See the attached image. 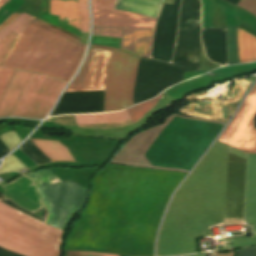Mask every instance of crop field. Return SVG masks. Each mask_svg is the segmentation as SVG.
Returning a JSON list of instances; mask_svg holds the SVG:
<instances>
[{
  "instance_id": "eef30255",
  "label": "crop field",
  "mask_w": 256,
  "mask_h": 256,
  "mask_svg": "<svg viewBox=\"0 0 256 256\" xmlns=\"http://www.w3.org/2000/svg\"><path fill=\"white\" fill-rule=\"evenodd\" d=\"M7 0H1L0 1V7H1V5L4 3V2H6Z\"/></svg>"
},
{
  "instance_id": "bc2a9ffb",
  "label": "crop field",
  "mask_w": 256,
  "mask_h": 256,
  "mask_svg": "<svg viewBox=\"0 0 256 256\" xmlns=\"http://www.w3.org/2000/svg\"><path fill=\"white\" fill-rule=\"evenodd\" d=\"M124 29L93 27L92 36L121 38Z\"/></svg>"
},
{
  "instance_id": "5a996713",
  "label": "crop field",
  "mask_w": 256,
  "mask_h": 256,
  "mask_svg": "<svg viewBox=\"0 0 256 256\" xmlns=\"http://www.w3.org/2000/svg\"><path fill=\"white\" fill-rule=\"evenodd\" d=\"M32 72L15 70L0 100V116H11Z\"/></svg>"
},
{
  "instance_id": "92a150f3",
  "label": "crop field",
  "mask_w": 256,
  "mask_h": 256,
  "mask_svg": "<svg viewBox=\"0 0 256 256\" xmlns=\"http://www.w3.org/2000/svg\"><path fill=\"white\" fill-rule=\"evenodd\" d=\"M203 5V24L202 28H211V1L201 0Z\"/></svg>"
},
{
  "instance_id": "d1516ede",
  "label": "crop field",
  "mask_w": 256,
  "mask_h": 256,
  "mask_svg": "<svg viewBox=\"0 0 256 256\" xmlns=\"http://www.w3.org/2000/svg\"><path fill=\"white\" fill-rule=\"evenodd\" d=\"M31 140L52 161H74L67 148L61 145L59 141Z\"/></svg>"
},
{
  "instance_id": "3316defc",
  "label": "crop field",
  "mask_w": 256,
  "mask_h": 256,
  "mask_svg": "<svg viewBox=\"0 0 256 256\" xmlns=\"http://www.w3.org/2000/svg\"><path fill=\"white\" fill-rule=\"evenodd\" d=\"M152 31L125 28L120 49L130 54L149 58Z\"/></svg>"
},
{
  "instance_id": "214f88e0",
  "label": "crop field",
  "mask_w": 256,
  "mask_h": 256,
  "mask_svg": "<svg viewBox=\"0 0 256 256\" xmlns=\"http://www.w3.org/2000/svg\"><path fill=\"white\" fill-rule=\"evenodd\" d=\"M25 167L26 166L23 163H21L15 156L11 155L5 158V161L0 168V172L16 170V169H21Z\"/></svg>"
},
{
  "instance_id": "ac0d7876",
  "label": "crop field",
  "mask_w": 256,
  "mask_h": 256,
  "mask_svg": "<svg viewBox=\"0 0 256 256\" xmlns=\"http://www.w3.org/2000/svg\"><path fill=\"white\" fill-rule=\"evenodd\" d=\"M81 31H89L87 0H78ZM0 41V67L21 69L68 81L85 47L80 41L33 20L21 34ZM0 68V96L14 70Z\"/></svg>"
},
{
  "instance_id": "733c2abd",
  "label": "crop field",
  "mask_w": 256,
  "mask_h": 256,
  "mask_svg": "<svg viewBox=\"0 0 256 256\" xmlns=\"http://www.w3.org/2000/svg\"><path fill=\"white\" fill-rule=\"evenodd\" d=\"M36 165L51 162L36 146L28 139L20 148Z\"/></svg>"
},
{
  "instance_id": "730fd06b",
  "label": "crop field",
  "mask_w": 256,
  "mask_h": 256,
  "mask_svg": "<svg viewBox=\"0 0 256 256\" xmlns=\"http://www.w3.org/2000/svg\"><path fill=\"white\" fill-rule=\"evenodd\" d=\"M20 14H12L8 19H6L1 25L0 30H2L6 25H8L11 21H13Z\"/></svg>"
},
{
  "instance_id": "4a817a6b",
  "label": "crop field",
  "mask_w": 256,
  "mask_h": 256,
  "mask_svg": "<svg viewBox=\"0 0 256 256\" xmlns=\"http://www.w3.org/2000/svg\"><path fill=\"white\" fill-rule=\"evenodd\" d=\"M162 94V93H161ZM160 94V95H161ZM157 96L156 98H154L153 100L151 101H147V102H144L142 104H139L135 107H132L130 109H128V113L131 117V120L132 122H136L137 120H139L148 110H150L154 104L157 102L158 98L160 97Z\"/></svg>"
},
{
  "instance_id": "5142ce71",
  "label": "crop field",
  "mask_w": 256,
  "mask_h": 256,
  "mask_svg": "<svg viewBox=\"0 0 256 256\" xmlns=\"http://www.w3.org/2000/svg\"><path fill=\"white\" fill-rule=\"evenodd\" d=\"M80 124L110 123L129 119L127 111L96 115H76Z\"/></svg>"
},
{
  "instance_id": "f4fd0767",
  "label": "crop field",
  "mask_w": 256,
  "mask_h": 256,
  "mask_svg": "<svg viewBox=\"0 0 256 256\" xmlns=\"http://www.w3.org/2000/svg\"><path fill=\"white\" fill-rule=\"evenodd\" d=\"M38 77L33 73L12 116L43 118L67 84L47 76L44 80Z\"/></svg>"
},
{
  "instance_id": "22f410ed",
  "label": "crop field",
  "mask_w": 256,
  "mask_h": 256,
  "mask_svg": "<svg viewBox=\"0 0 256 256\" xmlns=\"http://www.w3.org/2000/svg\"><path fill=\"white\" fill-rule=\"evenodd\" d=\"M241 63L256 61V38L237 28Z\"/></svg>"
},
{
  "instance_id": "412701ff",
  "label": "crop field",
  "mask_w": 256,
  "mask_h": 256,
  "mask_svg": "<svg viewBox=\"0 0 256 256\" xmlns=\"http://www.w3.org/2000/svg\"><path fill=\"white\" fill-rule=\"evenodd\" d=\"M90 47L113 51L106 78L104 112L131 106L133 84L139 58L128 55L119 49L94 45Z\"/></svg>"
},
{
  "instance_id": "4177f3b9",
  "label": "crop field",
  "mask_w": 256,
  "mask_h": 256,
  "mask_svg": "<svg viewBox=\"0 0 256 256\" xmlns=\"http://www.w3.org/2000/svg\"><path fill=\"white\" fill-rule=\"evenodd\" d=\"M87 252L70 251L69 256H86ZM87 256H119L115 254H99L88 252Z\"/></svg>"
},
{
  "instance_id": "e52e79f7",
  "label": "crop field",
  "mask_w": 256,
  "mask_h": 256,
  "mask_svg": "<svg viewBox=\"0 0 256 256\" xmlns=\"http://www.w3.org/2000/svg\"><path fill=\"white\" fill-rule=\"evenodd\" d=\"M111 53L90 48L85 63L66 92L104 90Z\"/></svg>"
},
{
  "instance_id": "d9b57169",
  "label": "crop field",
  "mask_w": 256,
  "mask_h": 256,
  "mask_svg": "<svg viewBox=\"0 0 256 256\" xmlns=\"http://www.w3.org/2000/svg\"><path fill=\"white\" fill-rule=\"evenodd\" d=\"M33 19V16L22 13L18 18H16L13 22L6 26L2 31H0V40H2L11 32L21 34L28 25V23H30Z\"/></svg>"
},
{
  "instance_id": "dafd665d",
  "label": "crop field",
  "mask_w": 256,
  "mask_h": 256,
  "mask_svg": "<svg viewBox=\"0 0 256 256\" xmlns=\"http://www.w3.org/2000/svg\"><path fill=\"white\" fill-rule=\"evenodd\" d=\"M0 137L4 141V143L7 145V147L10 149V151L14 147H16L18 143L21 141L14 131L4 133L0 135Z\"/></svg>"
},
{
  "instance_id": "34b2d1b8",
  "label": "crop field",
  "mask_w": 256,
  "mask_h": 256,
  "mask_svg": "<svg viewBox=\"0 0 256 256\" xmlns=\"http://www.w3.org/2000/svg\"><path fill=\"white\" fill-rule=\"evenodd\" d=\"M63 231L0 202V246L26 256H59Z\"/></svg>"
},
{
  "instance_id": "8a807250",
  "label": "crop field",
  "mask_w": 256,
  "mask_h": 256,
  "mask_svg": "<svg viewBox=\"0 0 256 256\" xmlns=\"http://www.w3.org/2000/svg\"><path fill=\"white\" fill-rule=\"evenodd\" d=\"M185 175L108 165L64 249L152 256L162 210Z\"/></svg>"
},
{
  "instance_id": "00972430",
  "label": "crop field",
  "mask_w": 256,
  "mask_h": 256,
  "mask_svg": "<svg viewBox=\"0 0 256 256\" xmlns=\"http://www.w3.org/2000/svg\"><path fill=\"white\" fill-rule=\"evenodd\" d=\"M248 68H256V62L255 63L244 64V65H235V66L222 67V68H219V69L214 70L212 72L218 73V72H226V71L248 69Z\"/></svg>"
},
{
  "instance_id": "d8731c3e",
  "label": "crop field",
  "mask_w": 256,
  "mask_h": 256,
  "mask_svg": "<svg viewBox=\"0 0 256 256\" xmlns=\"http://www.w3.org/2000/svg\"><path fill=\"white\" fill-rule=\"evenodd\" d=\"M115 0H91L92 8L112 9ZM92 9L93 25L153 29L156 19L117 10Z\"/></svg>"
},
{
  "instance_id": "dd49c442",
  "label": "crop field",
  "mask_w": 256,
  "mask_h": 256,
  "mask_svg": "<svg viewBox=\"0 0 256 256\" xmlns=\"http://www.w3.org/2000/svg\"><path fill=\"white\" fill-rule=\"evenodd\" d=\"M256 84L218 141L248 153H256Z\"/></svg>"
},
{
  "instance_id": "a9b5d70f",
  "label": "crop field",
  "mask_w": 256,
  "mask_h": 256,
  "mask_svg": "<svg viewBox=\"0 0 256 256\" xmlns=\"http://www.w3.org/2000/svg\"><path fill=\"white\" fill-rule=\"evenodd\" d=\"M238 6L251 12L256 17V0H241Z\"/></svg>"
},
{
  "instance_id": "cbeb9de0",
  "label": "crop field",
  "mask_w": 256,
  "mask_h": 256,
  "mask_svg": "<svg viewBox=\"0 0 256 256\" xmlns=\"http://www.w3.org/2000/svg\"><path fill=\"white\" fill-rule=\"evenodd\" d=\"M227 25L236 26V16L233 12L226 9ZM228 39V65L239 63L236 27L227 26Z\"/></svg>"
},
{
  "instance_id": "28ad6ade",
  "label": "crop field",
  "mask_w": 256,
  "mask_h": 256,
  "mask_svg": "<svg viewBox=\"0 0 256 256\" xmlns=\"http://www.w3.org/2000/svg\"><path fill=\"white\" fill-rule=\"evenodd\" d=\"M50 14L59 16V20L68 21V25L80 30L77 0H51Z\"/></svg>"
}]
</instances>
